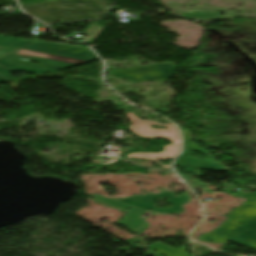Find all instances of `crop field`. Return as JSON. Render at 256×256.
Instances as JSON below:
<instances>
[{"label": "crop field", "instance_id": "8a807250", "mask_svg": "<svg viewBox=\"0 0 256 256\" xmlns=\"http://www.w3.org/2000/svg\"><path fill=\"white\" fill-rule=\"evenodd\" d=\"M164 197H171L167 200L173 204L172 209H158L152 206L154 200ZM90 198L103 205L128 213L118 224L129 227L137 234H141L148 226L140 217L148 208L156 209L154 215H162L168 213H180L184 211L181 206L189 201L187 198H174L171 193H163L161 195L147 194L146 196H135L125 199L110 200L99 195H91ZM127 208H132L127 212Z\"/></svg>", "mask_w": 256, "mask_h": 256}, {"label": "crop field", "instance_id": "ac0d7876", "mask_svg": "<svg viewBox=\"0 0 256 256\" xmlns=\"http://www.w3.org/2000/svg\"><path fill=\"white\" fill-rule=\"evenodd\" d=\"M126 115L132 121V125L129 127V129L135 134L147 138L167 139L173 143V145L171 146H163L164 151L161 153H135L129 154L126 157L130 159L151 160L157 163L163 169L170 168V166L168 165L163 166L157 160L173 159L179 153L181 149L180 135L175 125L161 124L152 121L141 120L132 112L127 113ZM151 125H160L167 128L164 130L152 129L150 127Z\"/></svg>", "mask_w": 256, "mask_h": 256}, {"label": "crop field", "instance_id": "34b2d1b8", "mask_svg": "<svg viewBox=\"0 0 256 256\" xmlns=\"http://www.w3.org/2000/svg\"><path fill=\"white\" fill-rule=\"evenodd\" d=\"M23 49L53 54L57 56L82 60V61H95L98 58L94 56L90 49H82L77 47H70L50 42H36Z\"/></svg>", "mask_w": 256, "mask_h": 256}, {"label": "crop field", "instance_id": "412701ff", "mask_svg": "<svg viewBox=\"0 0 256 256\" xmlns=\"http://www.w3.org/2000/svg\"><path fill=\"white\" fill-rule=\"evenodd\" d=\"M183 133H184L185 150L183 154L179 156L175 162L178 166L185 167L187 172L192 174H195V171H194L195 167L204 168V169L228 170L222 164H220L216 159H214L209 153H207L204 149H202L200 146L192 144L190 133L185 131H183ZM191 150L200 151L204 153L206 156L210 158L209 161L191 159L188 156Z\"/></svg>", "mask_w": 256, "mask_h": 256}, {"label": "crop field", "instance_id": "f4fd0767", "mask_svg": "<svg viewBox=\"0 0 256 256\" xmlns=\"http://www.w3.org/2000/svg\"><path fill=\"white\" fill-rule=\"evenodd\" d=\"M152 249L164 256H191L189 254L184 253L186 251L187 248H182L179 250L170 248L168 246L162 245V244H155L153 246H151Z\"/></svg>", "mask_w": 256, "mask_h": 256}, {"label": "crop field", "instance_id": "dd49c442", "mask_svg": "<svg viewBox=\"0 0 256 256\" xmlns=\"http://www.w3.org/2000/svg\"><path fill=\"white\" fill-rule=\"evenodd\" d=\"M14 54H17V53H14ZM19 55H22V54H19ZM25 56H27V55H25Z\"/></svg>", "mask_w": 256, "mask_h": 256}]
</instances>
